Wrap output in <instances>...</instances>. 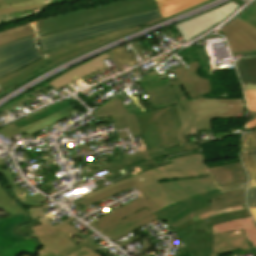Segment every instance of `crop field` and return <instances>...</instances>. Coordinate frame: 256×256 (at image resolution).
Here are the masks:
<instances>
[{
	"label": "crop field",
	"instance_id": "5142ce71",
	"mask_svg": "<svg viewBox=\"0 0 256 256\" xmlns=\"http://www.w3.org/2000/svg\"><path fill=\"white\" fill-rule=\"evenodd\" d=\"M92 114L98 118L112 116L116 130L128 127L131 137L141 135L136 118L134 117L135 115H129L118 96H115L103 106L99 107Z\"/></svg>",
	"mask_w": 256,
	"mask_h": 256
},
{
	"label": "crop field",
	"instance_id": "a9b5d70f",
	"mask_svg": "<svg viewBox=\"0 0 256 256\" xmlns=\"http://www.w3.org/2000/svg\"><path fill=\"white\" fill-rule=\"evenodd\" d=\"M197 148H199V146L196 145L195 143L185 144V145H182L180 147L163 150L161 152L145 154V155H142L140 157L130 158V159H125V160H121V161H118V162H114V163L108 164L106 166L100 167L98 169L92 170V171L87 172V173L82 174V175L84 177H86L90 174H93L95 172L102 171V170H105V169H108V168H111V167H113V168L119 167V166H122V165H125V164H129V163H132V162H135V161L142 160V159L147 161V160L154 159V158H157V157L166 156V155H170V154H174V153H178V152H183V151L194 150V149H197Z\"/></svg>",
	"mask_w": 256,
	"mask_h": 256
},
{
	"label": "crop field",
	"instance_id": "c21b1889",
	"mask_svg": "<svg viewBox=\"0 0 256 256\" xmlns=\"http://www.w3.org/2000/svg\"><path fill=\"white\" fill-rule=\"evenodd\" d=\"M255 221H256V209H250Z\"/></svg>",
	"mask_w": 256,
	"mask_h": 256
},
{
	"label": "crop field",
	"instance_id": "dafd665d",
	"mask_svg": "<svg viewBox=\"0 0 256 256\" xmlns=\"http://www.w3.org/2000/svg\"><path fill=\"white\" fill-rule=\"evenodd\" d=\"M211 228L214 234L243 229L250 246H256V225L252 217L216 224Z\"/></svg>",
	"mask_w": 256,
	"mask_h": 256
},
{
	"label": "crop field",
	"instance_id": "c035e120",
	"mask_svg": "<svg viewBox=\"0 0 256 256\" xmlns=\"http://www.w3.org/2000/svg\"><path fill=\"white\" fill-rule=\"evenodd\" d=\"M247 115H252L253 116L252 120L256 119V112L248 111Z\"/></svg>",
	"mask_w": 256,
	"mask_h": 256
},
{
	"label": "crop field",
	"instance_id": "733c2abd",
	"mask_svg": "<svg viewBox=\"0 0 256 256\" xmlns=\"http://www.w3.org/2000/svg\"><path fill=\"white\" fill-rule=\"evenodd\" d=\"M240 155L249 177L248 187H256V131L243 136Z\"/></svg>",
	"mask_w": 256,
	"mask_h": 256
},
{
	"label": "crop field",
	"instance_id": "eef30255",
	"mask_svg": "<svg viewBox=\"0 0 256 256\" xmlns=\"http://www.w3.org/2000/svg\"><path fill=\"white\" fill-rule=\"evenodd\" d=\"M234 61L241 83L256 84V56Z\"/></svg>",
	"mask_w": 256,
	"mask_h": 256
},
{
	"label": "crop field",
	"instance_id": "120bbe31",
	"mask_svg": "<svg viewBox=\"0 0 256 256\" xmlns=\"http://www.w3.org/2000/svg\"><path fill=\"white\" fill-rule=\"evenodd\" d=\"M35 34L31 27L21 31L12 32L7 35L0 36V45L17 40L19 38Z\"/></svg>",
	"mask_w": 256,
	"mask_h": 256
},
{
	"label": "crop field",
	"instance_id": "03da06ac",
	"mask_svg": "<svg viewBox=\"0 0 256 256\" xmlns=\"http://www.w3.org/2000/svg\"><path fill=\"white\" fill-rule=\"evenodd\" d=\"M17 191L20 195L23 193V190L21 188H18Z\"/></svg>",
	"mask_w": 256,
	"mask_h": 256
},
{
	"label": "crop field",
	"instance_id": "730fd06b",
	"mask_svg": "<svg viewBox=\"0 0 256 256\" xmlns=\"http://www.w3.org/2000/svg\"><path fill=\"white\" fill-rule=\"evenodd\" d=\"M0 177L5 185L8 187L9 191L13 194V196L25 206L37 205L47 200L46 198L39 195L40 193H37L32 197L28 193L24 192L22 196H19L15 190L17 186L12 181V178L7 170L0 171Z\"/></svg>",
	"mask_w": 256,
	"mask_h": 256
},
{
	"label": "crop field",
	"instance_id": "3316defc",
	"mask_svg": "<svg viewBox=\"0 0 256 256\" xmlns=\"http://www.w3.org/2000/svg\"><path fill=\"white\" fill-rule=\"evenodd\" d=\"M66 101L57 103L47 109H44L42 111L29 115L24 119H20L14 123H11L1 128L0 133L6 138L9 136L12 138L14 137L13 135L24 133V132H26L28 135L37 133L53 125L54 123L62 120V118L56 112L71 105ZM45 116H47V118H45ZM31 137L34 138L33 136Z\"/></svg>",
	"mask_w": 256,
	"mask_h": 256
},
{
	"label": "crop field",
	"instance_id": "dd49c442",
	"mask_svg": "<svg viewBox=\"0 0 256 256\" xmlns=\"http://www.w3.org/2000/svg\"><path fill=\"white\" fill-rule=\"evenodd\" d=\"M155 0H120L70 14L44 18L42 30L37 36L59 32L90 23L156 8Z\"/></svg>",
	"mask_w": 256,
	"mask_h": 256
},
{
	"label": "crop field",
	"instance_id": "22f410ed",
	"mask_svg": "<svg viewBox=\"0 0 256 256\" xmlns=\"http://www.w3.org/2000/svg\"><path fill=\"white\" fill-rule=\"evenodd\" d=\"M73 219L75 218L71 217L53 228L50 223L31 228L35 232L32 236H36L39 242L50 251L54 250L58 253L69 245L71 247L75 245L68 240L72 235L79 232L68 224Z\"/></svg>",
	"mask_w": 256,
	"mask_h": 256
},
{
	"label": "crop field",
	"instance_id": "28ad6ade",
	"mask_svg": "<svg viewBox=\"0 0 256 256\" xmlns=\"http://www.w3.org/2000/svg\"><path fill=\"white\" fill-rule=\"evenodd\" d=\"M188 102L197 120L243 116L242 100L195 99Z\"/></svg>",
	"mask_w": 256,
	"mask_h": 256
},
{
	"label": "crop field",
	"instance_id": "5a996713",
	"mask_svg": "<svg viewBox=\"0 0 256 256\" xmlns=\"http://www.w3.org/2000/svg\"><path fill=\"white\" fill-rule=\"evenodd\" d=\"M35 37L32 35L0 46V77L41 59L35 48Z\"/></svg>",
	"mask_w": 256,
	"mask_h": 256
},
{
	"label": "crop field",
	"instance_id": "d9b57169",
	"mask_svg": "<svg viewBox=\"0 0 256 256\" xmlns=\"http://www.w3.org/2000/svg\"><path fill=\"white\" fill-rule=\"evenodd\" d=\"M70 240L77 245L72 248L69 246L61 251L59 254L55 253L54 251L50 252L42 246L40 249H38L36 256H99L93 250L100 246L91 241L89 238L82 235L80 232L71 237ZM21 256L32 255L23 254Z\"/></svg>",
	"mask_w": 256,
	"mask_h": 256
},
{
	"label": "crop field",
	"instance_id": "b80d0937",
	"mask_svg": "<svg viewBox=\"0 0 256 256\" xmlns=\"http://www.w3.org/2000/svg\"><path fill=\"white\" fill-rule=\"evenodd\" d=\"M241 85L244 91L256 90V85H252V84H241Z\"/></svg>",
	"mask_w": 256,
	"mask_h": 256
},
{
	"label": "crop field",
	"instance_id": "028f5c9d",
	"mask_svg": "<svg viewBox=\"0 0 256 256\" xmlns=\"http://www.w3.org/2000/svg\"><path fill=\"white\" fill-rule=\"evenodd\" d=\"M246 199L249 208H256V188H248Z\"/></svg>",
	"mask_w": 256,
	"mask_h": 256
},
{
	"label": "crop field",
	"instance_id": "8a807250",
	"mask_svg": "<svg viewBox=\"0 0 256 256\" xmlns=\"http://www.w3.org/2000/svg\"><path fill=\"white\" fill-rule=\"evenodd\" d=\"M204 160L203 154L174 159L171 160L173 164L126 178L83 198L134 180L163 209L154 215L170 226L187 215L210 206L207 199L221 196V192L246 189L247 183L219 188L208 167L204 165Z\"/></svg>",
	"mask_w": 256,
	"mask_h": 256
},
{
	"label": "crop field",
	"instance_id": "5d738f31",
	"mask_svg": "<svg viewBox=\"0 0 256 256\" xmlns=\"http://www.w3.org/2000/svg\"><path fill=\"white\" fill-rule=\"evenodd\" d=\"M157 1V0H156Z\"/></svg>",
	"mask_w": 256,
	"mask_h": 256
},
{
	"label": "crop field",
	"instance_id": "412701ff",
	"mask_svg": "<svg viewBox=\"0 0 256 256\" xmlns=\"http://www.w3.org/2000/svg\"><path fill=\"white\" fill-rule=\"evenodd\" d=\"M249 216L248 210L214 216L207 219L208 222L196 223L177 234L191 256H218L217 252L235 249H242V253L255 249L250 248L243 231L213 235L209 225Z\"/></svg>",
	"mask_w": 256,
	"mask_h": 256
},
{
	"label": "crop field",
	"instance_id": "34b2d1b8",
	"mask_svg": "<svg viewBox=\"0 0 256 256\" xmlns=\"http://www.w3.org/2000/svg\"><path fill=\"white\" fill-rule=\"evenodd\" d=\"M174 70L175 81L163 83L156 69L138 81L149 97L154 109L170 107L183 101L203 98L211 92L210 83L196 74L199 62Z\"/></svg>",
	"mask_w": 256,
	"mask_h": 256
},
{
	"label": "crop field",
	"instance_id": "d3111659",
	"mask_svg": "<svg viewBox=\"0 0 256 256\" xmlns=\"http://www.w3.org/2000/svg\"><path fill=\"white\" fill-rule=\"evenodd\" d=\"M204 0H160L157 1L163 17L170 16L179 11L192 7Z\"/></svg>",
	"mask_w": 256,
	"mask_h": 256
},
{
	"label": "crop field",
	"instance_id": "00972430",
	"mask_svg": "<svg viewBox=\"0 0 256 256\" xmlns=\"http://www.w3.org/2000/svg\"><path fill=\"white\" fill-rule=\"evenodd\" d=\"M186 135L197 134L196 130L212 129L211 120L196 121L190 109L188 102H184L175 106ZM199 137V136H198ZM200 139V138H199ZM201 141V140H200Z\"/></svg>",
	"mask_w": 256,
	"mask_h": 256
},
{
	"label": "crop field",
	"instance_id": "d32e631a",
	"mask_svg": "<svg viewBox=\"0 0 256 256\" xmlns=\"http://www.w3.org/2000/svg\"><path fill=\"white\" fill-rule=\"evenodd\" d=\"M111 51L116 56V58L120 61L121 64L128 63L129 66L135 64V61L132 59V57L130 56V54L127 52V50L124 48L123 45Z\"/></svg>",
	"mask_w": 256,
	"mask_h": 256
},
{
	"label": "crop field",
	"instance_id": "d1516ede",
	"mask_svg": "<svg viewBox=\"0 0 256 256\" xmlns=\"http://www.w3.org/2000/svg\"><path fill=\"white\" fill-rule=\"evenodd\" d=\"M238 7L239 6L230 2L218 9L207 12L196 18L181 22L175 26L186 42L189 39L203 33L216 23L223 21Z\"/></svg>",
	"mask_w": 256,
	"mask_h": 256
},
{
	"label": "crop field",
	"instance_id": "4a817a6b",
	"mask_svg": "<svg viewBox=\"0 0 256 256\" xmlns=\"http://www.w3.org/2000/svg\"><path fill=\"white\" fill-rule=\"evenodd\" d=\"M107 59H109V56L106 53L88 63H85V64L67 72L68 75L64 74L49 84L56 89H58L62 86H65L67 84H70L80 78H83L93 72H96V71L106 67V65L103 61H105ZM96 68H98V69H96Z\"/></svg>",
	"mask_w": 256,
	"mask_h": 256
},
{
	"label": "crop field",
	"instance_id": "cbeb9de0",
	"mask_svg": "<svg viewBox=\"0 0 256 256\" xmlns=\"http://www.w3.org/2000/svg\"><path fill=\"white\" fill-rule=\"evenodd\" d=\"M226 37L231 53L256 51V28L240 19L220 30Z\"/></svg>",
	"mask_w": 256,
	"mask_h": 256
},
{
	"label": "crop field",
	"instance_id": "4177f3b9",
	"mask_svg": "<svg viewBox=\"0 0 256 256\" xmlns=\"http://www.w3.org/2000/svg\"><path fill=\"white\" fill-rule=\"evenodd\" d=\"M65 1L70 0H0V15L36 9Z\"/></svg>",
	"mask_w": 256,
	"mask_h": 256
},
{
	"label": "crop field",
	"instance_id": "750c4746",
	"mask_svg": "<svg viewBox=\"0 0 256 256\" xmlns=\"http://www.w3.org/2000/svg\"><path fill=\"white\" fill-rule=\"evenodd\" d=\"M0 206L11 214L23 213L26 210L14 201V199L7 192L0 180Z\"/></svg>",
	"mask_w": 256,
	"mask_h": 256
},
{
	"label": "crop field",
	"instance_id": "bc2a9ffb",
	"mask_svg": "<svg viewBox=\"0 0 256 256\" xmlns=\"http://www.w3.org/2000/svg\"><path fill=\"white\" fill-rule=\"evenodd\" d=\"M220 186L247 182L242 162L209 168Z\"/></svg>",
	"mask_w": 256,
	"mask_h": 256
},
{
	"label": "crop field",
	"instance_id": "ae1a2a85",
	"mask_svg": "<svg viewBox=\"0 0 256 256\" xmlns=\"http://www.w3.org/2000/svg\"><path fill=\"white\" fill-rule=\"evenodd\" d=\"M18 245L0 249V256H19L22 253L35 255L41 247L35 237L17 242Z\"/></svg>",
	"mask_w": 256,
	"mask_h": 256
},
{
	"label": "crop field",
	"instance_id": "bd1437ed",
	"mask_svg": "<svg viewBox=\"0 0 256 256\" xmlns=\"http://www.w3.org/2000/svg\"><path fill=\"white\" fill-rule=\"evenodd\" d=\"M244 209H247L246 205L237 206V207H231V208L217 210V211H214V210L213 211H209V212H207V213H205L203 215H200V216H198V217H196V218H194V219H192V220L182 224L181 226H179V227H177V228H175L173 230H175L177 232V231H179V230H181L183 228H186V227H188V226H190V225H192V224H194L196 222H199L201 220L209 218V217H211L213 215H219V214H223V213H228V212L238 211V210H244Z\"/></svg>",
	"mask_w": 256,
	"mask_h": 256
},
{
	"label": "crop field",
	"instance_id": "ac0d7876",
	"mask_svg": "<svg viewBox=\"0 0 256 256\" xmlns=\"http://www.w3.org/2000/svg\"><path fill=\"white\" fill-rule=\"evenodd\" d=\"M135 186L144 196L90 223L112 240H119L140 227L157 219L152 213L161 208L145 194L134 181L114 187L86 200L80 201L85 207ZM114 241V242H115Z\"/></svg>",
	"mask_w": 256,
	"mask_h": 256
},
{
	"label": "crop field",
	"instance_id": "e52e79f7",
	"mask_svg": "<svg viewBox=\"0 0 256 256\" xmlns=\"http://www.w3.org/2000/svg\"><path fill=\"white\" fill-rule=\"evenodd\" d=\"M161 16L159 9L119 17L59 33L38 37L43 52L50 51L87 38L97 37L116 30L139 26Z\"/></svg>",
	"mask_w": 256,
	"mask_h": 256
},
{
	"label": "crop field",
	"instance_id": "d8731c3e",
	"mask_svg": "<svg viewBox=\"0 0 256 256\" xmlns=\"http://www.w3.org/2000/svg\"><path fill=\"white\" fill-rule=\"evenodd\" d=\"M163 17H159L155 20H152L148 23H145L139 27H135V28H131V29H126V30H121V31H117V32H113L107 35H103L97 38H92V39H88V40H84L75 44H71L59 49H55L52 50L50 52L47 53H43L44 56L46 58L39 60L38 62L25 67L17 72H14L6 77L0 78V86L8 89L11 86L15 85L16 83L48 68L51 67L69 57H72L76 54H79L83 51H86L90 48H93L95 46H98L102 43H105L107 41H110L112 39H115L117 37H120L124 34H127L129 32H132L134 30H137L139 28H142L146 25H149L151 23H154L160 19H162Z\"/></svg>",
	"mask_w": 256,
	"mask_h": 256
},
{
	"label": "crop field",
	"instance_id": "5866460e",
	"mask_svg": "<svg viewBox=\"0 0 256 256\" xmlns=\"http://www.w3.org/2000/svg\"><path fill=\"white\" fill-rule=\"evenodd\" d=\"M248 103V110L256 111V91L244 92ZM256 126V120L246 125V129Z\"/></svg>",
	"mask_w": 256,
	"mask_h": 256
},
{
	"label": "crop field",
	"instance_id": "1d83c4d3",
	"mask_svg": "<svg viewBox=\"0 0 256 256\" xmlns=\"http://www.w3.org/2000/svg\"><path fill=\"white\" fill-rule=\"evenodd\" d=\"M239 18L256 27V3L253 6H251L249 9H247L242 15H240ZM231 55L232 57L255 56L256 52L236 53Z\"/></svg>",
	"mask_w": 256,
	"mask_h": 256
},
{
	"label": "crop field",
	"instance_id": "e1f06a70",
	"mask_svg": "<svg viewBox=\"0 0 256 256\" xmlns=\"http://www.w3.org/2000/svg\"><path fill=\"white\" fill-rule=\"evenodd\" d=\"M79 111H77L75 108H73L72 106L58 112V114L63 118H68L76 113H78Z\"/></svg>",
	"mask_w": 256,
	"mask_h": 256
},
{
	"label": "crop field",
	"instance_id": "214f88e0",
	"mask_svg": "<svg viewBox=\"0 0 256 256\" xmlns=\"http://www.w3.org/2000/svg\"><path fill=\"white\" fill-rule=\"evenodd\" d=\"M245 192H246V190L226 192V193H222L223 196H221V197L209 199L212 206L202 209V210L180 220L179 222L175 223L171 227L173 229V228L181 225L182 223H184V222H186V221H188L206 211H209V210H213V209L217 210V209H222V208H226V207L245 204V200H244Z\"/></svg>",
	"mask_w": 256,
	"mask_h": 256
},
{
	"label": "crop field",
	"instance_id": "b54c1fbb",
	"mask_svg": "<svg viewBox=\"0 0 256 256\" xmlns=\"http://www.w3.org/2000/svg\"><path fill=\"white\" fill-rule=\"evenodd\" d=\"M4 161H2L1 159H0V164H2Z\"/></svg>",
	"mask_w": 256,
	"mask_h": 256
},
{
	"label": "crop field",
	"instance_id": "92a150f3",
	"mask_svg": "<svg viewBox=\"0 0 256 256\" xmlns=\"http://www.w3.org/2000/svg\"><path fill=\"white\" fill-rule=\"evenodd\" d=\"M28 214L0 220V248L16 245L15 242L30 238L32 236H20L14 233L15 229L22 224L29 222Z\"/></svg>",
	"mask_w": 256,
	"mask_h": 256
},
{
	"label": "crop field",
	"instance_id": "f4fd0767",
	"mask_svg": "<svg viewBox=\"0 0 256 256\" xmlns=\"http://www.w3.org/2000/svg\"><path fill=\"white\" fill-rule=\"evenodd\" d=\"M135 115L142 137L149 150L127 156L126 158L157 152L187 143L178 113L174 106Z\"/></svg>",
	"mask_w": 256,
	"mask_h": 256
},
{
	"label": "crop field",
	"instance_id": "0bd39190",
	"mask_svg": "<svg viewBox=\"0 0 256 256\" xmlns=\"http://www.w3.org/2000/svg\"><path fill=\"white\" fill-rule=\"evenodd\" d=\"M26 213H23V214H26ZM23 214L11 215L10 213L6 212L5 210H3L0 207V219L9 218V217H15V216L23 215Z\"/></svg>",
	"mask_w": 256,
	"mask_h": 256
}]
</instances>
